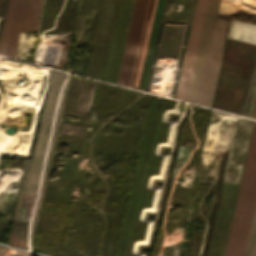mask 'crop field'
<instances>
[{"label":"crop field","instance_id":"obj_4","mask_svg":"<svg viewBox=\"0 0 256 256\" xmlns=\"http://www.w3.org/2000/svg\"><path fill=\"white\" fill-rule=\"evenodd\" d=\"M231 20L216 18L197 97V104L211 105L225 40Z\"/></svg>","mask_w":256,"mask_h":256},{"label":"crop field","instance_id":"obj_6","mask_svg":"<svg viewBox=\"0 0 256 256\" xmlns=\"http://www.w3.org/2000/svg\"><path fill=\"white\" fill-rule=\"evenodd\" d=\"M206 4H207V0H197L196 2L193 20H192L189 37H188V41L185 49V54H184V58L181 66V71L178 79V84H177V88L174 96L175 99H179L183 101L185 99Z\"/></svg>","mask_w":256,"mask_h":256},{"label":"crop field","instance_id":"obj_8","mask_svg":"<svg viewBox=\"0 0 256 256\" xmlns=\"http://www.w3.org/2000/svg\"><path fill=\"white\" fill-rule=\"evenodd\" d=\"M253 117H255V118H256V107H255V111H254V115H253Z\"/></svg>","mask_w":256,"mask_h":256},{"label":"crop field","instance_id":"obj_3","mask_svg":"<svg viewBox=\"0 0 256 256\" xmlns=\"http://www.w3.org/2000/svg\"><path fill=\"white\" fill-rule=\"evenodd\" d=\"M43 0H8L0 41L17 43L19 31H36ZM1 42L0 55L14 57L17 44Z\"/></svg>","mask_w":256,"mask_h":256},{"label":"crop field","instance_id":"obj_1","mask_svg":"<svg viewBox=\"0 0 256 256\" xmlns=\"http://www.w3.org/2000/svg\"><path fill=\"white\" fill-rule=\"evenodd\" d=\"M154 1L155 0H151L147 19H150L151 17ZM149 2L150 0H135L134 10L132 14V19H131L128 37H127L126 46H125L124 55H123V60H122L119 78L117 82V84L119 85H124L128 87H130L131 85ZM156 3H157V0L155 1L151 20H147L146 22L145 31L142 39L141 48H140V53H139L137 66L135 70V75L132 83V85H135V86H137L138 84ZM163 5H164V0H158L139 84H138V87L132 86L133 88H137L141 90L144 89L148 68L150 64V59H151L158 27L161 19Z\"/></svg>","mask_w":256,"mask_h":256},{"label":"crop field","instance_id":"obj_7","mask_svg":"<svg viewBox=\"0 0 256 256\" xmlns=\"http://www.w3.org/2000/svg\"><path fill=\"white\" fill-rule=\"evenodd\" d=\"M6 248L0 247V256L3 254Z\"/></svg>","mask_w":256,"mask_h":256},{"label":"crop field","instance_id":"obj_2","mask_svg":"<svg viewBox=\"0 0 256 256\" xmlns=\"http://www.w3.org/2000/svg\"><path fill=\"white\" fill-rule=\"evenodd\" d=\"M256 201V121L238 192L224 256H243ZM244 256H256V205Z\"/></svg>","mask_w":256,"mask_h":256},{"label":"crop field","instance_id":"obj_5","mask_svg":"<svg viewBox=\"0 0 256 256\" xmlns=\"http://www.w3.org/2000/svg\"><path fill=\"white\" fill-rule=\"evenodd\" d=\"M219 0H208L185 101L195 103Z\"/></svg>","mask_w":256,"mask_h":256}]
</instances>
